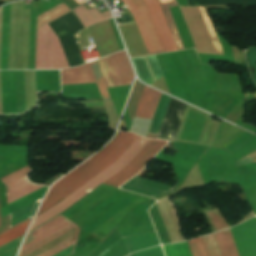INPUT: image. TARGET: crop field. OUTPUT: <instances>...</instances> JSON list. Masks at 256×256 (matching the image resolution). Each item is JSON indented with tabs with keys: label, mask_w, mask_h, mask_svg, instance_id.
I'll list each match as a JSON object with an SVG mask.
<instances>
[{
	"label": "crop field",
	"mask_w": 256,
	"mask_h": 256,
	"mask_svg": "<svg viewBox=\"0 0 256 256\" xmlns=\"http://www.w3.org/2000/svg\"><path fill=\"white\" fill-rule=\"evenodd\" d=\"M73 247H74V244L71 245V246H69L68 248H66V249H64V250H62V251H60L59 253H57V254H55V255H53V256H67L68 254L72 253ZM74 250H75V248H74ZM73 253H74V251H73ZM73 253H72V254H73ZM72 254H70V255H72ZM70 255H68V256H70Z\"/></svg>",
	"instance_id": "crop-field-31"
},
{
	"label": "crop field",
	"mask_w": 256,
	"mask_h": 256,
	"mask_svg": "<svg viewBox=\"0 0 256 256\" xmlns=\"http://www.w3.org/2000/svg\"><path fill=\"white\" fill-rule=\"evenodd\" d=\"M72 222L68 221L62 216H58L51 220L50 222L46 223L42 227L30 232L25 242L22 246L21 252L26 250L27 248L33 246L34 244L40 242L41 240L45 239L46 237L52 235L53 233L59 231L60 229L66 227L67 225L71 224Z\"/></svg>",
	"instance_id": "crop-field-11"
},
{
	"label": "crop field",
	"mask_w": 256,
	"mask_h": 256,
	"mask_svg": "<svg viewBox=\"0 0 256 256\" xmlns=\"http://www.w3.org/2000/svg\"><path fill=\"white\" fill-rule=\"evenodd\" d=\"M230 230L239 256H256V217Z\"/></svg>",
	"instance_id": "crop-field-7"
},
{
	"label": "crop field",
	"mask_w": 256,
	"mask_h": 256,
	"mask_svg": "<svg viewBox=\"0 0 256 256\" xmlns=\"http://www.w3.org/2000/svg\"><path fill=\"white\" fill-rule=\"evenodd\" d=\"M128 134L129 132L120 131L106 147H104L101 151H99L96 155L90 158L79 168H77L76 170L74 169L75 171L68 174L60 181H58L55 185H53L49 193L47 194L37 216L62 201L68 195L73 193L79 187L84 185L90 179H92L101 171L114 163L120 157V155L131 145V143L138 137L132 133H130L129 135Z\"/></svg>",
	"instance_id": "crop-field-2"
},
{
	"label": "crop field",
	"mask_w": 256,
	"mask_h": 256,
	"mask_svg": "<svg viewBox=\"0 0 256 256\" xmlns=\"http://www.w3.org/2000/svg\"><path fill=\"white\" fill-rule=\"evenodd\" d=\"M140 138V137H139ZM137 138L133 144L121 155V157L106 170L101 172L95 178L90 180L84 186L79 188L73 194L68 196L62 202L52 207L48 211L44 212L40 216L36 217L31 229L40 225L44 221L48 220L52 216L56 215L60 211L64 210L72 203L80 199L82 196L87 194L89 191L97 187L123 166H125L135 155L136 153L149 141L139 152L138 154L120 171L110 177L104 182V184L112 186H120L122 183L127 181L129 178L138 173L155 155L156 153L167 143V141H158V140H148L144 141ZM30 229V230H31Z\"/></svg>",
	"instance_id": "crop-field-1"
},
{
	"label": "crop field",
	"mask_w": 256,
	"mask_h": 256,
	"mask_svg": "<svg viewBox=\"0 0 256 256\" xmlns=\"http://www.w3.org/2000/svg\"><path fill=\"white\" fill-rule=\"evenodd\" d=\"M144 2L150 10L165 51L169 52L177 50L157 1L144 0Z\"/></svg>",
	"instance_id": "crop-field-12"
},
{
	"label": "crop field",
	"mask_w": 256,
	"mask_h": 256,
	"mask_svg": "<svg viewBox=\"0 0 256 256\" xmlns=\"http://www.w3.org/2000/svg\"><path fill=\"white\" fill-rule=\"evenodd\" d=\"M206 215L208 216L216 231L228 228V225L226 224L218 209L206 212Z\"/></svg>",
	"instance_id": "crop-field-27"
},
{
	"label": "crop field",
	"mask_w": 256,
	"mask_h": 256,
	"mask_svg": "<svg viewBox=\"0 0 256 256\" xmlns=\"http://www.w3.org/2000/svg\"><path fill=\"white\" fill-rule=\"evenodd\" d=\"M69 67L60 42L47 25L37 29L36 69H62Z\"/></svg>",
	"instance_id": "crop-field-3"
},
{
	"label": "crop field",
	"mask_w": 256,
	"mask_h": 256,
	"mask_svg": "<svg viewBox=\"0 0 256 256\" xmlns=\"http://www.w3.org/2000/svg\"><path fill=\"white\" fill-rule=\"evenodd\" d=\"M79 227L74 223L20 253L19 256H51L76 242Z\"/></svg>",
	"instance_id": "crop-field-6"
},
{
	"label": "crop field",
	"mask_w": 256,
	"mask_h": 256,
	"mask_svg": "<svg viewBox=\"0 0 256 256\" xmlns=\"http://www.w3.org/2000/svg\"><path fill=\"white\" fill-rule=\"evenodd\" d=\"M109 68L114 76L118 86L128 85L132 83L134 75L132 73L128 58L124 51L105 58ZM105 59L98 60L100 70L105 80L107 88L116 87V83L108 68Z\"/></svg>",
	"instance_id": "crop-field-5"
},
{
	"label": "crop field",
	"mask_w": 256,
	"mask_h": 256,
	"mask_svg": "<svg viewBox=\"0 0 256 256\" xmlns=\"http://www.w3.org/2000/svg\"><path fill=\"white\" fill-rule=\"evenodd\" d=\"M160 7H161V10L163 12V15L165 17V20L167 22V25L170 29V32L172 34V37L174 39V42L176 44V47L178 50H181V49H184L183 46H182V43H181V40L179 38V35H178V32L176 30V27L174 25V22H173V19L171 17V14H170V11L168 9V7H171V6H176L178 5L176 0H157Z\"/></svg>",
	"instance_id": "crop-field-19"
},
{
	"label": "crop field",
	"mask_w": 256,
	"mask_h": 256,
	"mask_svg": "<svg viewBox=\"0 0 256 256\" xmlns=\"http://www.w3.org/2000/svg\"><path fill=\"white\" fill-rule=\"evenodd\" d=\"M188 243L193 256H208L201 237L188 241Z\"/></svg>",
	"instance_id": "crop-field-28"
},
{
	"label": "crop field",
	"mask_w": 256,
	"mask_h": 256,
	"mask_svg": "<svg viewBox=\"0 0 256 256\" xmlns=\"http://www.w3.org/2000/svg\"><path fill=\"white\" fill-rule=\"evenodd\" d=\"M162 248L165 256H191L186 242L164 245Z\"/></svg>",
	"instance_id": "crop-field-22"
},
{
	"label": "crop field",
	"mask_w": 256,
	"mask_h": 256,
	"mask_svg": "<svg viewBox=\"0 0 256 256\" xmlns=\"http://www.w3.org/2000/svg\"><path fill=\"white\" fill-rule=\"evenodd\" d=\"M122 2L131 12L148 54L165 52L145 3L142 0H122Z\"/></svg>",
	"instance_id": "crop-field-4"
},
{
	"label": "crop field",
	"mask_w": 256,
	"mask_h": 256,
	"mask_svg": "<svg viewBox=\"0 0 256 256\" xmlns=\"http://www.w3.org/2000/svg\"><path fill=\"white\" fill-rule=\"evenodd\" d=\"M89 64L91 66L92 72H93L95 80L97 82V86H98L99 92L101 94L102 100L103 101L111 100L110 96L108 94V91L105 87V84L103 82V79H102L100 70L98 68L97 62L94 61V62H90Z\"/></svg>",
	"instance_id": "crop-field-24"
},
{
	"label": "crop field",
	"mask_w": 256,
	"mask_h": 256,
	"mask_svg": "<svg viewBox=\"0 0 256 256\" xmlns=\"http://www.w3.org/2000/svg\"><path fill=\"white\" fill-rule=\"evenodd\" d=\"M202 238L209 256H238L229 229Z\"/></svg>",
	"instance_id": "crop-field-9"
},
{
	"label": "crop field",
	"mask_w": 256,
	"mask_h": 256,
	"mask_svg": "<svg viewBox=\"0 0 256 256\" xmlns=\"http://www.w3.org/2000/svg\"><path fill=\"white\" fill-rule=\"evenodd\" d=\"M62 85L95 83L89 64L61 70Z\"/></svg>",
	"instance_id": "crop-field-13"
},
{
	"label": "crop field",
	"mask_w": 256,
	"mask_h": 256,
	"mask_svg": "<svg viewBox=\"0 0 256 256\" xmlns=\"http://www.w3.org/2000/svg\"><path fill=\"white\" fill-rule=\"evenodd\" d=\"M73 11L84 27L112 17L109 11L100 13L96 7L87 10L84 4Z\"/></svg>",
	"instance_id": "crop-field-17"
},
{
	"label": "crop field",
	"mask_w": 256,
	"mask_h": 256,
	"mask_svg": "<svg viewBox=\"0 0 256 256\" xmlns=\"http://www.w3.org/2000/svg\"><path fill=\"white\" fill-rule=\"evenodd\" d=\"M244 158H248V159H251V160L255 161L256 160V151L247 155V156H245V157H243V158H241V159H244ZM248 159H245L243 161H241L239 159V160L235 161L236 166L238 167V166L244 165L246 163L252 162L251 160H248Z\"/></svg>",
	"instance_id": "crop-field-30"
},
{
	"label": "crop field",
	"mask_w": 256,
	"mask_h": 256,
	"mask_svg": "<svg viewBox=\"0 0 256 256\" xmlns=\"http://www.w3.org/2000/svg\"><path fill=\"white\" fill-rule=\"evenodd\" d=\"M120 188L154 198L161 197L162 195L175 190V187L173 186L165 185L139 177H133L125 184L120 186Z\"/></svg>",
	"instance_id": "crop-field-10"
},
{
	"label": "crop field",
	"mask_w": 256,
	"mask_h": 256,
	"mask_svg": "<svg viewBox=\"0 0 256 256\" xmlns=\"http://www.w3.org/2000/svg\"><path fill=\"white\" fill-rule=\"evenodd\" d=\"M127 253L158 245L156 233H147L121 238Z\"/></svg>",
	"instance_id": "crop-field-15"
},
{
	"label": "crop field",
	"mask_w": 256,
	"mask_h": 256,
	"mask_svg": "<svg viewBox=\"0 0 256 256\" xmlns=\"http://www.w3.org/2000/svg\"><path fill=\"white\" fill-rule=\"evenodd\" d=\"M30 221V220H29ZM29 221L3 233L0 235V246L24 235L25 231H26V228L29 224Z\"/></svg>",
	"instance_id": "crop-field-21"
},
{
	"label": "crop field",
	"mask_w": 256,
	"mask_h": 256,
	"mask_svg": "<svg viewBox=\"0 0 256 256\" xmlns=\"http://www.w3.org/2000/svg\"><path fill=\"white\" fill-rule=\"evenodd\" d=\"M199 8H200L201 13H202V15H203V18H204V20H205V23H206V25H207L208 31H209V33H210V36H211V38H212V41H213V43H214V46H215V48H216L217 53H218V54H221V55H224V54H223V51H222V49H221L220 43H219V41H218L217 35H216V33H215V31H214V28H213V26H212V23H211V21H210L208 15H207L206 9H204V8H202V7H199Z\"/></svg>",
	"instance_id": "crop-field-26"
},
{
	"label": "crop field",
	"mask_w": 256,
	"mask_h": 256,
	"mask_svg": "<svg viewBox=\"0 0 256 256\" xmlns=\"http://www.w3.org/2000/svg\"><path fill=\"white\" fill-rule=\"evenodd\" d=\"M129 256H163L160 246L145 251L131 254Z\"/></svg>",
	"instance_id": "crop-field-29"
},
{
	"label": "crop field",
	"mask_w": 256,
	"mask_h": 256,
	"mask_svg": "<svg viewBox=\"0 0 256 256\" xmlns=\"http://www.w3.org/2000/svg\"><path fill=\"white\" fill-rule=\"evenodd\" d=\"M170 99H171V97L161 94L154 118L152 120V123L150 125L148 132L155 133V134L158 133ZM150 133H148L147 137L156 138L157 135L150 134Z\"/></svg>",
	"instance_id": "crop-field-18"
},
{
	"label": "crop field",
	"mask_w": 256,
	"mask_h": 256,
	"mask_svg": "<svg viewBox=\"0 0 256 256\" xmlns=\"http://www.w3.org/2000/svg\"><path fill=\"white\" fill-rule=\"evenodd\" d=\"M29 171L28 167H24L2 179L8 191V204L43 187L35 186L26 181L25 175Z\"/></svg>",
	"instance_id": "crop-field-8"
},
{
	"label": "crop field",
	"mask_w": 256,
	"mask_h": 256,
	"mask_svg": "<svg viewBox=\"0 0 256 256\" xmlns=\"http://www.w3.org/2000/svg\"><path fill=\"white\" fill-rule=\"evenodd\" d=\"M143 87H144V85L139 83L136 80L134 89L132 91L131 97H130L128 105H127L128 112H129V115H130V118H131V122H132L133 115H134L135 109L137 107L140 95L142 93Z\"/></svg>",
	"instance_id": "crop-field-25"
},
{
	"label": "crop field",
	"mask_w": 256,
	"mask_h": 256,
	"mask_svg": "<svg viewBox=\"0 0 256 256\" xmlns=\"http://www.w3.org/2000/svg\"><path fill=\"white\" fill-rule=\"evenodd\" d=\"M70 11L67 6L63 3L61 5H59L58 7L38 16V23H37V27L53 20L54 18L66 13Z\"/></svg>",
	"instance_id": "crop-field-23"
},
{
	"label": "crop field",
	"mask_w": 256,
	"mask_h": 256,
	"mask_svg": "<svg viewBox=\"0 0 256 256\" xmlns=\"http://www.w3.org/2000/svg\"><path fill=\"white\" fill-rule=\"evenodd\" d=\"M41 199L13 212L10 214L9 218V226L8 229L31 218L39 204ZM8 217L9 215L5 216L2 218V225L0 228V233L4 232L7 230V225H8Z\"/></svg>",
	"instance_id": "crop-field-16"
},
{
	"label": "crop field",
	"mask_w": 256,
	"mask_h": 256,
	"mask_svg": "<svg viewBox=\"0 0 256 256\" xmlns=\"http://www.w3.org/2000/svg\"><path fill=\"white\" fill-rule=\"evenodd\" d=\"M159 92V91H158ZM144 87L135 116L152 119L161 93Z\"/></svg>",
	"instance_id": "crop-field-14"
},
{
	"label": "crop field",
	"mask_w": 256,
	"mask_h": 256,
	"mask_svg": "<svg viewBox=\"0 0 256 256\" xmlns=\"http://www.w3.org/2000/svg\"><path fill=\"white\" fill-rule=\"evenodd\" d=\"M46 189H47L46 187H43L31 194L19 199V200L1 208V217L43 197Z\"/></svg>",
	"instance_id": "crop-field-20"
}]
</instances>
